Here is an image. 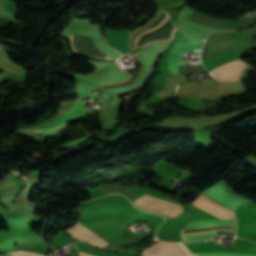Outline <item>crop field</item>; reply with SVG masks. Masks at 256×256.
<instances>
[{
  "label": "crop field",
  "mask_w": 256,
  "mask_h": 256,
  "mask_svg": "<svg viewBox=\"0 0 256 256\" xmlns=\"http://www.w3.org/2000/svg\"><path fill=\"white\" fill-rule=\"evenodd\" d=\"M13 256H38L34 254H29V253H11ZM11 254L8 255H0V256H12Z\"/></svg>",
  "instance_id": "d1516ede"
},
{
  "label": "crop field",
  "mask_w": 256,
  "mask_h": 256,
  "mask_svg": "<svg viewBox=\"0 0 256 256\" xmlns=\"http://www.w3.org/2000/svg\"><path fill=\"white\" fill-rule=\"evenodd\" d=\"M76 247L79 249L80 252H84V253L95 255V256H113V255H115L114 253L98 250V249H95V248H93L87 244H83V243H78L76 245Z\"/></svg>",
  "instance_id": "e52e79f7"
},
{
  "label": "crop field",
  "mask_w": 256,
  "mask_h": 256,
  "mask_svg": "<svg viewBox=\"0 0 256 256\" xmlns=\"http://www.w3.org/2000/svg\"><path fill=\"white\" fill-rule=\"evenodd\" d=\"M81 105H83V102L81 100H78L60 119H62L65 122H70L74 119L83 116L87 109L80 108Z\"/></svg>",
  "instance_id": "dd49c442"
},
{
  "label": "crop field",
  "mask_w": 256,
  "mask_h": 256,
  "mask_svg": "<svg viewBox=\"0 0 256 256\" xmlns=\"http://www.w3.org/2000/svg\"><path fill=\"white\" fill-rule=\"evenodd\" d=\"M141 254L144 256H162L150 247L146 248Z\"/></svg>",
  "instance_id": "28ad6ade"
},
{
  "label": "crop field",
  "mask_w": 256,
  "mask_h": 256,
  "mask_svg": "<svg viewBox=\"0 0 256 256\" xmlns=\"http://www.w3.org/2000/svg\"><path fill=\"white\" fill-rule=\"evenodd\" d=\"M128 30H109L106 29V42L108 45L116 48L121 53L129 52V48L126 45V37Z\"/></svg>",
  "instance_id": "412701ff"
},
{
  "label": "crop field",
  "mask_w": 256,
  "mask_h": 256,
  "mask_svg": "<svg viewBox=\"0 0 256 256\" xmlns=\"http://www.w3.org/2000/svg\"><path fill=\"white\" fill-rule=\"evenodd\" d=\"M71 47L75 52L88 57L102 58L103 53H101L94 45L92 38L82 37L74 34L69 35ZM103 58H109L104 55Z\"/></svg>",
  "instance_id": "8a807250"
},
{
  "label": "crop field",
  "mask_w": 256,
  "mask_h": 256,
  "mask_svg": "<svg viewBox=\"0 0 256 256\" xmlns=\"http://www.w3.org/2000/svg\"><path fill=\"white\" fill-rule=\"evenodd\" d=\"M215 76V75H214Z\"/></svg>",
  "instance_id": "5142ce71"
},
{
  "label": "crop field",
  "mask_w": 256,
  "mask_h": 256,
  "mask_svg": "<svg viewBox=\"0 0 256 256\" xmlns=\"http://www.w3.org/2000/svg\"><path fill=\"white\" fill-rule=\"evenodd\" d=\"M67 234H70L74 237H77L82 240H86L89 243L98 246V247H105L108 243L100 238L98 235L94 234L93 232L89 231L85 227H83L80 223L74 224L70 229L64 231Z\"/></svg>",
  "instance_id": "34b2d1b8"
},
{
  "label": "crop field",
  "mask_w": 256,
  "mask_h": 256,
  "mask_svg": "<svg viewBox=\"0 0 256 256\" xmlns=\"http://www.w3.org/2000/svg\"><path fill=\"white\" fill-rule=\"evenodd\" d=\"M175 27L173 25L172 19L161 29L147 35L143 38L139 44V46H145L148 42L164 40V39H171Z\"/></svg>",
  "instance_id": "f4fd0767"
},
{
  "label": "crop field",
  "mask_w": 256,
  "mask_h": 256,
  "mask_svg": "<svg viewBox=\"0 0 256 256\" xmlns=\"http://www.w3.org/2000/svg\"><path fill=\"white\" fill-rule=\"evenodd\" d=\"M195 256H251V255H243L236 254L231 252H217V253H193Z\"/></svg>",
  "instance_id": "3316defc"
},
{
  "label": "crop field",
  "mask_w": 256,
  "mask_h": 256,
  "mask_svg": "<svg viewBox=\"0 0 256 256\" xmlns=\"http://www.w3.org/2000/svg\"><path fill=\"white\" fill-rule=\"evenodd\" d=\"M214 225L234 226V221H229V220L197 221V222L188 223L183 229L194 228V227L214 226ZM215 236H217L216 232L201 233V234L182 236V240L183 241H198V240L207 239V238H211V237H215Z\"/></svg>",
  "instance_id": "ac0d7876"
},
{
  "label": "crop field",
  "mask_w": 256,
  "mask_h": 256,
  "mask_svg": "<svg viewBox=\"0 0 256 256\" xmlns=\"http://www.w3.org/2000/svg\"><path fill=\"white\" fill-rule=\"evenodd\" d=\"M169 18L168 14L167 13H163L162 16L157 19L150 28L144 30L141 34H139L135 39H134V42H133V46L134 48H136V42L140 39V37L142 35H144L146 32H149L150 30L154 29V28H158L160 27L161 25L164 24V22ZM155 30V29H154Z\"/></svg>",
  "instance_id": "d8731c3e"
},
{
  "label": "crop field",
  "mask_w": 256,
  "mask_h": 256,
  "mask_svg": "<svg viewBox=\"0 0 256 256\" xmlns=\"http://www.w3.org/2000/svg\"><path fill=\"white\" fill-rule=\"evenodd\" d=\"M136 77H137V74L136 75H130L129 78L125 81L110 83V84H104L103 86H105L107 88L118 87V86H127V85H130L131 83H133V81L136 79Z\"/></svg>",
  "instance_id": "5a996713"
},
{
  "label": "crop field",
  "mask_w": 256,
  "mask_h": 256,
  "mask_svg": "<svg viewBox=\"0 0 256 256\" xmlns=\"http://www.w3.org/2000/svg\"><path fill=\"white\" fill-rule=\"evenodd\" d=\"M180 246L187 252V256L193 255V254L192 255L190 254L191 253L190 251H189L190 253L188 252V250L184 247L183 243H180Z\"/></svg>",
  "instance_id": "22f410ed"
},
{
  "label": "crop field",
  "mask_w": 256,
  "mask_h": 256,
  "mask_svg": "<svg viewBox=\"0 0 256 256\" xmlns=\"http://www.w3.org/2000/svg\"><path fill=\"white\" fill-rule=\"evenodd\" d=\"M197 65H199V64H197Z\"/></svg>",
  "instance_id": "cbeb9de0"
}]
</instances>
